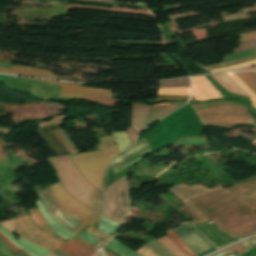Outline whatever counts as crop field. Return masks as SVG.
I'll use <instances>...</instances> for the list:
<instances>
[{
	"instance_id": "obj_1",
	"label": "crop field",
	"mask_w": 256,
	"mask_h": 256,
	"mask_svg": "<svg viewBox=\"0 0 256 256\" xmlns=\"http://www.w3.org/2000/svg\"><path fill=\"white\" fill-rule=\"evenodd\" d=\"M190 201L225 232L241 238L256 233V177Z\"/></svg>"
},
{
	"instance_id": "obj_2",
	"label": "crop field",
	"mask_w": 256,
	"mask_h": 256,
	"mask_svg": "<svg viewBox=\"0 0 256 256\" xmlns=\"http://www.w3.org/2000/svg\"><path fill=\"white\" fill-rule=\"evenodd\" d=\"M69 194L90 209L102 214V194L89 184L75 168L68 156L47 158Z\"/></svg>"
},
{
	"instance_id": "obj_3",
	"label": "crop field",
	"mask_w": 256,
	"mask_h": 256,
	"mask_svg": "<svg viewBox=\"0 0 256 256\" xmlns=\"http://www.w3.org/2000/svg\"><path fill=\"white\" fill-rule=\"evenodd\" d=\"M103 150L70 155L81 174L103 192V176L110 161L118 157L112 135L98 138Z\"/></svg>"
},
{
	"instance_id": "obj_4",
	"label": "crop field",
	"mask_w": 256,
	"mask_h": 256,
	"mask_svg": "<svg viewBox=\"0 0 256 256\" xmlns=\"http://www.w3.org/2000/svg\"><path fill=\"white\" fill-rule=\"evenodd\" d=\"M207 124H234L256 126V120L246 107L233 102H214L191 105Z\"/></svg>"
},
{
	"instance_id": "obj_5",
	"label": "crop field",
	"mask_w": 256,
	"mask_h": 256,
	"mask_svg": "<svg viewBox=\"0 0 256 256\" xmlns=\"http://www.w3.org/2000/svg\"><path fill=\"white\" fill-rule=\"evenodd\" d=\"M104 195L103 216L121 225L132 208L126 176L106 188Z\"/></svg>"
},
{
	"instance_id": "obj_6",
	"label": "crop field",
	"mask_w": 256,
	"mask_h": 256,
	"mask_svg": "<svg viewBox=\"0 0 256 256\" xmlns=\"http://www.w3.org/2000/svg\"><path fill=\"white\" fill-rule=\"evenodd\" d=\"M14 220L16 224L19 226L20 234L23 238H26L42 247H45L52 252L63 245L58 240L64 243H66L69 240L66 236L54 231L50 227L46 229L44 232L50 234L51 236L55 237L58 240L44 233L35 224V222L32 220L28 213L14 218Z\"/></svg>"
},
{
	"instance_id": "obj_7",
	"label": "crop field",
	"mask_w": 256,
	"mask_h": 256,
	"mask_svg": "<svg viewBox=\"0 0 256 256\" xmlns=\"http://www.w3.org/2000/svg\"><path fill=\"white\" fill-rule=\"evenodd\" d=\"M52 195L64 207H66L73 214L85 221L90 226L99 222L100 215L91 211L86 206L78 203L72 196H70L63 186L59 183L49 186Z\"/></svg>"
},
{
	"instance_id": "obj_8",
	"label": "crop field",
	"mask_w": 256,
	"mask_h": 256,
	"mask_svg": "<svg viewBox=\"0 0 256 256\" xmlns=\"http://www.w3.org/2000/svg\"><path fill=\"white\" fill-rule=\"evenodd\" d=\"M40 198L45 203L54 219L67 228L72 233L78 232L87 224L80 220L78 217L63 208L51 195L46 187L45 191L39 193Z\"/></svg>"
},
{
	"instance_id": "obj_9",
	"label": "crop field",
	"mask_w": 256,
	"mask_h": 256,
	"mask_svg": "<svg viewBox=\"0 0 256 256\" xmlns=\"http://www.w3.org/2000/svg\"><path fill=\"white\" fill-rule=\"evenodd\" d=\"M181 226L173 231L198 256H203L215 250L189 223H180Z\"/></svg>"
},
{
	"instance_id": "obj_10",
	"label": "crop field",
	"mask_w": 256,
	"mask_h": 256,
	"mask_svg": "<svg viewBox=\"0 0 256 256\" xmlns=\"http://www.w3.org/2000/svg\"><path fill=\"white\" fill-rule=\"evenodd\" d=\"M222 186L218 185L215 186L213 189H208L204 186L201 185H192V186H187L185 184H180L177 186H174L170 189H168L169 191H171L172 193H174L175 195H177L179 197V199L190 209V211L198 218L200 219L203 223L206 222L207 220H209L208 218H206L204 215H202L201 213H199L189 202L188 199L195 197L199 194H203L209 191H213V190H217V189H221Z\"/></svg>"
},
{
	"instance_id": "obj_11",
	"label": "crop field",
	"mask_w": 256,
	"mask_h": 256,
	"mask_svg": "<svg viewBox=\"0 0 256 256\" xmlns=\"http://www.w3.org/2000/svg\"><path fill=\"white\" fill-rule=\"evenodd\" d=\"M47 83L62 85V88L60 90L58 97L83 98L84 95H89V96L111 98V94H112V90H108V89L80 87V85L67 84V83H55V82H47Z\"/></svg>"
},
{
	"instance_id": "obj_12",
	"label": "crop field",
	"mask_w": 256,
	"mask_h": 256,
	"mask_svg": "<svg viewBox=\"0 0 256 256\" xmlns=\"http://www.w3.org/2000/svg\"><path fill=\"white\" fill-rule=\"evenodd\" d=\"M151 151L152 150L145 139L138 140L136 146L129 153L113 160L111 166L114 173L116 174L120 172L128 165Z\"/></svg>"
},
{
	"instance_id": "obj_13",
	"label": "crop field",
	"mask_w": 256,
	"mask_h": 256,
	"mask_svg": "<svg viewBox=\"0 0 256 256\" xmlns=\"http://www.w3.org/2000/svg\"><path fill=\"white\" fill-rule=\"evenodd\" d=\"M192 80L191 97L194 101L223 98L217 89L204 77H194Z\"/></svg>"
},
{
	"instance_id": "obj_14",
	"label": "crop field",
	"mask_w": 256,
	"mask_h": 256,
	"mask_svg": "<svg viewBox=\"0 0 256 256\" xmlns=\"http://www.w3.org/2000/svg\"><path fill=\"white\" fill-rule=\"evenodd\" d=\"M184 104L185 103H162L157 105H151L144 123V129Z\"/></svg>"
},
{
	"instance_id": "obj_15",
	"label": "crop field",
	"mask_w": 256,
	"mask_h": 256,
	"mask_svg": "<svg viewBox=\"0 0 256 256\" xmlns=\"http://www.w3.org/2000/svg\"><path fill=\"white\" fill-rule=\"evenodd\" d=\"M58 250L70 256H93L97 252L73 239Z\"/></svg>"
},
{
	"instance_id": "obj_16",
	"label": "crop field",
	"mask_w": 256,
	"mask_h": 256,
	"mask_svg": "<svg viewBox=\"0 0 256 256\" xmlns=\"http://www.w3.org/2000/svg\"><path fill=\"white\" fill-rule=\"evenodd\" d=\"M256 248V237L255 238H252V239H248V240H245L239 244H236L234 246H231L229 248H226L216 254H213L211 256H223L227 253H230L234 250H236L237 252H239L240 254L242 253H245L247 251H250L252 249ZM236 251L230 253V254H227L225 256H237L239 255V253H237Z\"/></svg>"
},
{
	"instance_id": "obj_17",
	"label": "crop field",
	"mask_w": 256,
	"mask_h": 256,
	"mask_svg": "<svg viewBox=\"0 0 256 256\" xmlns=\"http://www.w3.org/2000/svg\"><path fill=\"white\" fill-rule=\"evenodd\" d=\"M0 231H2L4 234H6L11 241H13L14 243H16L17 245H19L20 247H22L23 249H25L26 251H28L29 253H31L34 256H48L49 254H51L48 250H46V249H44L42 247H39V246H37L35 244H32V243H30V242H28L26 240H23L21 237L18 238L17 240L19 242H21V243H23V244L33 248L34 250H32V249H30V248H28V247L18 243L15 240L14 236L12 235V233L9 232L8 230H6L5 228L1 227V226H0Z\"/></svg>"
},
{
	"instance_id": "obj_18",
	"label": "crop field",
	"mask_w": 256,
	"mask_h": 256,
	"mask_svg": "<svg viewBox=\"0 0 256 256\" xmlns=\"http://www.w3.org/2000/svg\"><path fill=\"white\" fill-rule=\"evenodd\" d=\"M3 235L0 233V254L3 256H31L22 249L16 247L14 243Z\"/></svg>"
},
{
	"instance_id": "obj_19",
	"label": "crop field",
	"mask_w": 256,
	"mask_h": 256,
	"mask_svg": "<svg viewBox=\"0 0 256 256\" xmlns=\"http://www.w3.org/2000/svg\"><path fill=\"white\" fill-rule=\"evenodd\" d=\"M150 106L133 104L132 108V125L135 127L138 134L143 130L145 116Z\"/></svg>"
},
{
	"instance_id": "obj_20",
	"label": "crop field",
	"mask_w": 256,
	"mask_h": 256,
	"mask_svg": "<svg viewBox=\"0 0 256 256\" xmlns=\"http://www.w3.org/2000/svg\"><path fill=\"white\" fill-rule=\"evenodd\" d=\"M37 205V208L39 210V212L42 214V216L45 218V220L48 222V224L54 228L56 231L66 235L68 238H72L73 235L72 233H70L69 231H67L65 228H63L62 226H60L59 224H57L55 222V220L52 218V216L49 214V212L47 211V209L44 207V205L42 204V202L40 201V199L38 201L35 202Z\"/></svg>"
},
{
	"instance_id": "obj_21",
	"label": "crop field",
	"mask_w": 256,
	"mask_h": 256,
	"mask_svg": "<svg viewBox=\"0 0 256 256\" xmlns=\"http://www.w3.org/2000/svg\"><path fill=\"white\" fill-rule=\"evenodd\" d=\"M0 71H6V72H12V73H19V74H26V75H34V76H42V77H50V78H56V76L49 72L44 70H38V69H31V68H23V67H15L12 66L11 69L0 67Z\"/></svg>"
},
{
	"instance_id": "obj_22",
	"label": "crop field",
	"mask_w": 256,
	"mask_h": 256,
	"mask_svg": "<svg viewBox=\"0 0 256 256\" xmlns=\"http://www.w3.org/2000/svg\"><path fill=\"white\" fill-rule=\"evenodd\" d=\"M217 81L221 83L226 89L233 93H239L250 98L241 88H239L225 73L212 75Z\"/></svg>"
},
{
	"instance_id": "obj_23",
	"label": "crop field",
	"mask_w": 256,
	"mask_h": 256,
	"mask_svg": "<svg viewBox=\"0 0 256 256\" xmlns=\"http://www.w3.org/2000/svg\"><path fill=\"white\" fill-rule=\"evenodd\" d=\"M112 134L117 144L119 154L131 148L132 144L126 132H113Z\"/></svg>"
},
{
	"instance_id": "obj_24",
	"label": "crop field",
	"mask_w": 256,
	"mask_h": 256,
	"mask_svg": "<svg viewBox=\"0 0 256 256\" xmlns=\"http://www.w3.org/2000/svg\"><path fill=\"white\" fill-rule=\"evenodd\" d=\"M240 36L242 39H239L238 42L256 38V32L246 33ZM241 43L242 45H239V49L234 50V53L256 48V39L244 41Z\"/></svg>"
},
{
	"instance_id": "obj_25",
	"label": "crop field",
	"mask_w": 256,
	"mask_h": 256,
	"mask_svg": "<svg viewBox=\"0 0 256 256\" xmlns=\"http://www.w3.org/2000/svg\"><path fill=\"white\" fill-rule=\"evenodd\" d=\"M105 247L113 250L115 253L119 254L120 256H130L134 252L113 238L109 241V243Z\"/></svg>"
},
{
	"instance_id": "obj_26",
	"label": "crop field",
	"mask_w": 256,
	"mask_h": 256,
	"mask_svg": "<svg viewBox=\"0 0 256 256\" xmlns=\"http://www.w3.org/2000/svg\"><path fill=\"white\" fill-rule=\"evenodd\" d=\"M162 245H164L174 256H187L184 252H182L174 242L167 236H163L157 239Z\"/></svg>"
},
{
	"instance_id": "obj_27",
	"label": "crop field",
	"mask_w": 256,
	"mask_h": 256,
	"mask_svg": "<svg viewBox=\"0 0 256 256\" xmlns=\"http://www.w3.org/2000/svg\"><path fill=\"white\" fill-rule=\"evenodd\" d=\"M55 135L60 139V141L64 144L70 154L77 153L78 150L71 142V140L67 137V135L63 132L62 128L53 130Z\"/></svg>"
},
{
	"instance_id": "obj_28",
	"label": "crop field",
	"mask_w": 256,
	"mask_h": 256,
	"mask_svg": "<svg viewBox=\"0 0 256 256\" xmlns=\"http://www.w3.org/2000/svg\"><path fill=\"white\" fill-rule=\"evenodd\" d=\"M118 227H119V225H117L105 218H102L100 225H99V230L113 237V235Z\"/></svg>"
},
{
	"instance_id": "obj_29",
	"label": "crop field",
	"mask_w": 256,
	"mask_h": 256,
	"mask_svg": "<svg viewBox=\"0 0 256 256\" xmlns=\"http://www.w3.org/2000/svg\"><path fill=\"white\" fill-rule=\"evenodd\" d=\"M190 87L185 88H159L158 94L189 95Z\"/></svg>"
},
{
	"instance_id": "obj_30",
	"label": "crop field",
	"mask_w": 256,
	"mask_h": 256,
	"mask_svg": "<svg viewBox=\"0 0 256 256\" xmlns=\"http://www.w3.org/2000/svg\"><path fill=\"white\" fill-rule=\"evenodd\" d=\"M229 75L247 94H249L252 98L253 106L256 107V94L251 91L234 73H226Z\"/></svg>"
},
{
	"instance_id": "obj_31",
	"label": "crop field",
	"mask_w": 256,
	"mask_h": 256,
	"mask_svg": "<svg viewBox=\"0 0 256 256\" xmlns=\"http://www.w3.org/2000/svg\"><path fill=\"white\" fill-rule=\"evenodd\" d=\"M167 234L188 256H197L175 235L171 229L167 232Z\"/></svg>"
},
{
	"instance_id": "obj_32",
	"label": "crop field",
	"mask_w": 256,
	"mask_h": 256,
	"mask_svg": "<svg viewBox=\"0 0 256 256\" xmlns=\"http://www.w3.org/2000/svg\"><path fill=\"white\" fill-rule=\"evenodd\" d=\"M189 85V78L172 80V81H164L160 83L159 87H185Z\"/></svg>"
},
{
	"instance_id": "obj_33",
	"label": "crop field",
	"mask_w": 256,
	"mask_h": 256,
	"mask_svg": "<svg viewBox=\"0 0 256 256\" xmlns=\"http://www.w3.org/2000/svg\"><path fill=\"white\" fill-rule=\"evenodd\" d=\"M29 213L31 214V216L33 217L34 221L36 222V224L42 229H46L48 226V224L45 222V220L41 217V215L39 214L38 210L36 209V207L28 210Z\"/></svg>"
},
{
	"instance_id": "obj_34",
	"label": "crop field",
	"mask_w": 256,
	"mask_h": 256,
	"mask_svg": "<svg viewBox=\"0 0 256 256\" xmlns=\"http://www.w3.org/2000/svg\"><path fill=\"white\" fill-rule=\"evenodd\" d=\"M189 96H164L158 95V99L148 100L150 102H162V101H187Z\"/></svg>"
},
{
	"instance_id": "obj_35",
	"label": "crop field",
	"mask_w": 256,
	"mask_h": 256,
	"mask_svg": "<svg viewBox=\"0 0 256 256\" xmlns=\"http://www.w3.org/2000/svg\"><path fill=\"white\" fill-rule=\"evenodd\" d=\"M236 74L241 78V80L244 83H246L256 93V83L251 78V76L248 74V72L236 73Z\"/></svg>"
},
{
	"instance_id": "obj_36",
	"label": "crop field",
	"mask_w": 256,
	"mask_h": 256,
	"mask_svg": "<svg viewBox=\"0 0 256 256\" xmlns=\"http://www.w3.org/2000/svg\"><path fill=\"white\" fill-rule=\"evenodd\" d=\"M84 99L101 102V103H104V104H106L110 107H113L118 101V100H108V99H101V98L88 97V96H85Z\"/></svg>"
},
{
	"instance_id": "obj_37",
	"label": "crop field",
	"mask_w": 256,
	"mask_h": 256,
	"mask_svg": "<svg viewBox=\"0 0 256 256\" xmlns=\"http://www.w3.org/2000/svg\"><path fill=\"white\" fill-rule=\"evenodd\" d=\"M136 252H138L142 256H158L156 253H154L152 250H150L145 245L142 248L138 249Z\"/></svg>"
},
{
	"instance_id": "obj_38",
	"label": "crop field",
	"mask_w": 256,
	"mask_h": 256,
	"mask_svg": "<svg viewBox=\"0 0 256 256\" xmlns=\"http://www.w3.org/2000/svg\"><path fill=\"white\" fill-rule=\"evenodd\" d=\"M80 237L85 240H88V241L94 243L96 246H98L97 237L91 235L90 233L85 231L83 234L80 235Z\"/></svg>"
},
{
	"instance_id": "obj_39",
	"label": "crop field",
	"mask_w": 256,
	"mask_h": 256,
	"mask_svg": "<svg viewBox=\"0 0 256 256\" xmlns=\"http://www.w3.org/2000/svg\"><path fill=\"white\" fill-rule=\"evenodd\" d=\"M255 63H256V60H255V61H252V62H248V63H244V64L232 66V67H227V68H220V69L212 70V71H213V72H216V71H222V70L237 69V68L244 67V66H248V65H251V64H255Z\"/></svg>"
},
{
	"instance_id": "obj_40",
	"label": "crop field",
	"mask_w": 256,
	"mask_h": 256,
	"mask_svg": "<svg viewBox=\"0 0 256 256\" xmlns=\"http://www.w3.org/2000/svg\"><path fill=\"white\" fill-rule=\"evenodd\" d=\"M126 131L131 138L132 144L134 145L135 139L138 135L137 132L134 130V128L132 126L130 128H128Z\"/></svg>"
},
{
	"instance_id": "obj_41",
	"label": "crop field",
	"mask_w": 256,
	"mask_h": 256,
	"mask_svg": "<svg viewBox=\"0 0 256 256\" xmlns=\"http://www.w3.org/2000/svg\"><path fill=\"white\" fill-rule=\"evenodd\" d=\"M74 239L80 241L81 243H83V244H85V245L90 244V243H88L87 241H85V240H83V239H81V238H79V237H77V236H75Z\"/></svg>"
},
{
	"instance_id": "obj_42",
	"label": "crop field",
	"mask_w": 256,
	"mask_h": 256,
	"mask_svg": "<svg viewBox=\"0 0 256 256\" xmlns=\"http://www.w3.org/2000/svg\"><path fill=\"white\" fill-rule=\"evenodd\" d=\"M100 237L106 239L107 241L111 238L110 236H108V235H106V234H104L102 232H100Z\"/></svg>"
},
{
	"instance_id": "obj_43",
	"label": "crop field",
	"mask_w": 256,
	"mask_h": 256,
	"mask_svg": "<svg viewBox=\"0 0 256 256\" xmlns=\"http://www.w3.org/2000/svg\"><path fill=\"white\" fill-rule=\"evenodd\" d=\"M54 253V255H56V256H68V255H66V254H64V253H62V252H60V251H55V252H53Z\"/></svg>"
},
{
	"instance_id": "obj_44",
	"label": "crop field",
	"mask_w": 256,
	"mask_h": 256,
	"mask_svg": "<svg viewBox=\"0 0 256 256\" xmlns=\"http://www.w3.org/2000/svg\"><path fill=\"white\" fill-rule=\"evenodd\" d=\"M86 231L92 233L93 235L97 236V231L92 229L91 227L89 229H87Z\"/></svg>"
},
{
	"instance_id": "obj_45",
	"label": "crop field",
	"mask_w": 256,
	"mask_h": 256,
	"mask_svg": "<svg viewBox=\"0 0 256 256\" xmlns=\"http://www.w3.org/2000/svg\"><path fill=\"white\" fill-rule=\"evenodd\" d=\"M250 73V75L254 78V80L256 81V75H255V73L254 72H249Z\"/></svg>"
},
{
	"instance_id": "obj_46",
	"label": "crop field",
	"mask_w": 256,
	"mask_h": 256,
	"mask_svg": "<svg viewBox=\"0 0 256 256\" xmlns=\"http://www.w3.org/2000/svg\"><path fill=\"white\" fill-rule=\"evenodd\" d=\"M247 70H256V66L252 67V68H249V69H245L244 71H247Z\"/></svg>"
},
{
	"instance_id": "obj_47",
	"label": "crop field",
	"mask_w": 256,
	"mask_h": 256,
	"mask_svg": "<svg viewBox=\"0 0 256 256\" xmlns=\"http://www.w3.org/2000/svg\"><path fill=\"white\" fill-rule=\"evenodd\" d=\"M104 253H105V255H107V256H112V255L108 254V253H107V252H105V251H104Z\"/></svg>"
},
{
	"instance_id": "obj_48",
	"label": "crop field",
	"mask_w": 256,
	"mask_h": 256,
	"mask_svg": "<svg viewBox=\"0 0 256 256\" xmlns=\"http://www.w3.org/2000/svg\"><path fill=\"white\" fill-rule=\"evenodd\" d=\"M133 256H140L138 253H135Z\"/></svg>"
},
{
	"instance_id": "obj_49",
	"label": "crop field",
	"mask_w": 256,
	"mask_h": 256,
	"mask_svg": "<svg viewBox=\"0 0 256 256\" xmlns=\"http://www.w3.org/2000/svg\"><path fill=\"white\" fill-rule=\"evenodd\" d=\"M240 71H243V70H240ZM235 72H239V71H235Z\"/></svg>"
},
{
	"instance_id": "obj_50",
	"label": "crop field",
	"mask_w": 256,
	"mask_h": 256,
	"mask_svg": "<svg viewBox=\"0 0 256 256\" xmlns=\"http://www.w3.org/2000/svg\"><path fill=\"white\" fill-rule=\"evenodd\" d=\"M50 256H53L52 254Z\"/></svg>"
},
{
	"instance_id": "obj_51",
	"label": "crop field",
	"mask_w": 256,
	"mask_h": 256,
	"mask_svg": "<svg viewBox=\"0 0 256 256\" xmlns=\"http://www.w3.org/2000/svg\"><path fill=\"white\" fill-rule=\"evenodd\" d=\"M256 73V72H255Z\"/></svg>"
}]
</instances>
